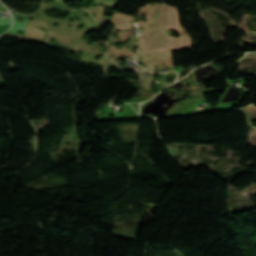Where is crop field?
Segmentation results:
<instances>
[{
	"label": "crop field",
	"instance_id": "8a807250",
	"mask_svg": "<svg viewBox=\"0 0 256 256\" xmlns=\"http://www.w3.org/2000/svg\"><path fill=\"white\" fill-rule=\"evenodd\" d=\"M10 25H0V33L5 31Z\"/></svg>",
	"mask_w": 256,
	"mask_h": 256
}]
</instances>
